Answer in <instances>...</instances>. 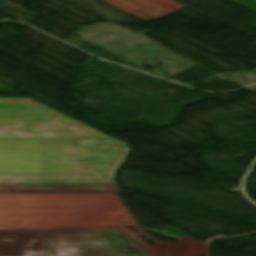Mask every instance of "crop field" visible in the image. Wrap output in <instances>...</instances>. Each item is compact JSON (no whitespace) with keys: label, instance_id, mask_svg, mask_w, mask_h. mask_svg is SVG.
<instances>
[{"label":"crop field","instance_id":"34b2d1b8","mask_svg":"<svg viewBox=\"0 0 256 256\" xmlns=\"http://www.w3.org/2000/svg\"><path fill=\"white\" fill-rule=\"evenodd\" d=\"M110 143H111V146H120V147H111V156L116 155V154H120V153H124V152L127 151L124 144H122L118 141H110ZM112 149H121V150H112Z\"/></svg>","mask_w":256,"mask_h":256},{"label":"crop field","instance_id":"ac0d7876","mask_svg":"<svg viewBox=\"0 0 256 256\" xmlns=\"http://www.w3.org/2000/svg\"><path fill=\"white\" fill-rule=\"evenodd\" d=\"M115 170H15L0 171V183L113 182Z\"/></svg>","mask_w":256,"mask_h":256},{"label":"crop field","instance_id":"8a807250","mask_svg":"<svg viewBox=\"0 0 256 256\" xmlns=\"http://www.w3.org/2000/svg\"><path fill=\"white\" fill-rule=\"evenodd\" d=\"M41 139L114 138L31 98H0V170L117 169L126 154L98 147L109 141Z\"/></svg>","mask_w":256,"mask_h":256}]
</instances>
